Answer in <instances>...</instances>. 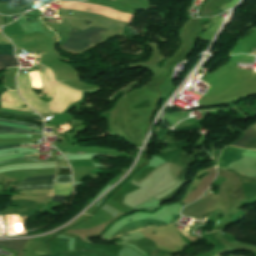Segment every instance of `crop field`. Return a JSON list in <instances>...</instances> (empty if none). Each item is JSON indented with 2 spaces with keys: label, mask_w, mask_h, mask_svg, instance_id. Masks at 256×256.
Masks as SVG:
<instances>
[{
  "label": "crop field",
  "mask_w": 256,
  "mask_h": 256,
  "mask_svg": "<svg viewBox=\"0 0 256 256\" xmlns=\"http://www.w3.org/2000/svg\"><path fill=\"white\" fill-rule=\"evenodd\" d=\"M108 29L91 27L83 32H77L72 29V33L66 44L62 48L68 51H82L91 44L97 43L101 40L102 32Z\"/></svg>",
  "instance_id": "8a807250"
},
{
  "label": "crop field",
  "mask_w": 256,
  "mask_h": 256,
  "mask_svg": "<svg viewBox=\"0 0 256 256\" xmlns=\"http://www.w3.org/2000/svg\"><path fill=\"white\" fill-rule=\"evenodd\" d=\"M59 174H71L70 168H61Z\"/></svg>",
  "instance_id": "d9b57169"
},
{
  "label": "crop field",
  "mask_w": 256,
  "mask_h": 256,
  "mask_svg": "<svg viewBox=\"0 0 256 256\" xmlns=\"http://www.w3.org/2000/svg\"><path fill=\"white\" fill-rule=\"evenodd\" d=\"M254 52H255V54H256V49L254 50ZM254 52H253L252 54H254ZM255 54H254V55H255Z\"/></svg>",
  "instance_id": "4a817a6b"
},
{
  "label": "crop field",
  "mask_w": 256,
  "mask_h": 256,
  "mask_svg": "<svg viewBox=\"0 0 256 256\" xmlns=\"http://www.w3.org/2000/svg\"><path fill=\"white\" fill-rule=\"evenodd\" d=\"M0 114H7V115H11V116H20V117H25V118L35 119V120H37V119L41 120V118H40V117H35V116L12 115V114L7 113V112H0ZM41 121H42V120H41Z\"/></svg>",
  "instance_id": "d1516ede"
},
{
  "label": "crop field",
  "mask_w": 256,
  "mask_h": 256,
  "mask_svg": "<svg viewBox=\"0 0 256 256\" xmlns=\"http://www.w3.org/2000/svg\"><path fill=\"white\" fill-rule=\"evenodd\" d=\"M53 177L54 176H39V177L27 178L24 181L39 180V179H53Z\"/></svg>",
  "instance_id": "22f410ed"
},
{
  "label": "crop field",
  "mask_w": 256,
  "mask_h": 256,
  "mask_svg": "<svg viewBox=\"0 0 256 256\" xmlns=\"http://www.w3.org/2000/svg\"><path fill=\"white\" fill-rule=\"evenodd\" d=\"M34 157H36V156L22 157V158H17V159H12V160L3 161V162H0V163L12 162V161H17V160H25V159H33Z\"/></svg>",
  "instance_id": "5142ce71"
},
{
  "label": "crop field",
  "mask_w": 256,
  "mask_h": 256,
  "mask_svg": "<svg viewBox=\"0 0 256 256\" xmlns=\"http://www.w3.org/2000/svg\"><path fill=\"white\" fill-rule=\"evenodd\" d=\"M0 55L14 56L12 44L0 45ZM9 56H0V71L7 67H14L19 65L14 57Z\"/></svg>",
  "instance_id": "34b2d1b8"
},
{
  "label": "crop field",
  "mask_w": 256,
  "mask_h": 256,
  "mask_svg": "<svg viewBox=\"0 0 256 256\" xmlns=\"http://www.w3.org/2000/svg\"><path fill=\"white\" fill-rule=\"evenodd\" d=\"M0 121L9 122V123H15V124H21V125H27V126H31V127H35V128L37 126L36 124L18 122V121H14V120L8 121V120L0 119ZM0 133H32V132L31 131H27V130H21V129L9 127V126L0 125ZM33 133H40V134H42V132H38V131H35Z\"/></svg>",
  "instance_id": "412701ff"
},
{
  "label": "crop field",
  "mask_w": 256,
  "mask_h": 256,
  "mask_svg": "<svg viewBox=\"0 0 256 256\" xmlns=\"http://www.w3.org/2000/svg\"><path fill=\"white\" fill-rule=\"evenodd\" d=\"M142 227H144L142 221H137V222L128 223V224L122 226V227H121L113 236H111L110 238L115 237V236H118V235H121V234L126 233V232H129V231H133V230H136V229H140V228H142Z\"/></svg>",
  "instance_id": "e52e79f7"
},
{
  "label": "crop field",
  "mask_w": 256,
  "mask_h": 256,
  "mask_svg": "<svg viewBox=\"0 0 256 256\" xmlns=\"http://www.w3.org/2000/svg\"><path fill=\"white\" fill-rule=\"evenodd\" d=\"M242 149L236 147L224 148L220 159L218 161V166L220 168H227L228 164L234 162L244 156L240 155Z\"/></svg>",
  "instance_id": "ac0d7876"
},
{
  "label": "crop field",
  "mask_w": 256,
  "mask_h": 256,
  "mask_svg": "<svg viewBox=\"0 0 256 256\" xmlns=\"http://www.w3.org/2000/svg\"><path fill=\"white\" fill-rule=\"evenodd\" d=\"M0 118H4V119L11 120V119H10V118H11L10 116L0 115ZM12 118H16V120H19V121L38 123V124H42V125H43V122H41V121H35V120H30V119H25V118H17V117H12Z\"/></svg>",
  "instance_id": "5a996713"
},
{
  "label": "crop field",
  "mask_w": 256,
  "mask_h": 256,
  "mask_svg": "<svg viewBox=\"0 0 256 256\" xmlns=\"http://www.w3.org/2000/svg\"><path fill=\"white\" fill-rule=\"evenodd\" d=\"M53 184H44V185H27L20 186L18 190H27V189H52Z\"/></svg>",
  "instance_id": "d8731c3e"
},
{
  "label": "crop field",
  "mask_w": 256,
  "mask_h": 256,
  "mask_svg": "<svg viewBox=\"0 0 256 256\" xmlns=\"http://www.w3.org/2000/svg\"><path fill=\"white\" fill-rule=\"evenodd\" d=\"M46 68V67H45ZM45 68H43V69H45ZM43 69H41V70H43ZM41 70H39V71H41ZM40 73V72H39Z\"/></svg>",
  "instance_id": "bc2a9ffb"
},
{
  "label": "crop field",
  "mask_w": 256,
  "mask_h": 256,
  "mask_svg": "<svg viewBox=\"0 0 256 256\" xmlns=\"http://www.w3.org/2000/svg\"><path fill=\"white\" fill-rule=\"evenodd\" d=\"M254 139H256V131L250 128L241 140L237 141L232 145L241 147ZM243 147L249 149H256V140Z\"/></svg>",
  "instance_id": "f4fd0767"
},
{
  "label": "crop field",
  "mask_w": 256,
  "mask_h": 256,
  "mask_svg": "<svg viewBox=\"0 0 256 256\" xmlns=\"http://www.w3.org/2000/svg\"><path fill=\"white\" fill-rule=\"evenodd\" d=\"M55 182L68 183V182H72V178H71V175L57 176Z\"/></svg>",
  "instance_id": "3316defc"
},
{
  "label": "crop field",
  "mask_w": 256,
  "mask_h": 256,
  "mask_svg": "<svg viewBox=\"0 0 256 256\" xmlns=\"http://www.w3.org/2000/svg\"><path fill=\"white\" fill-rule=\"evenodd\" d=\"M15 146H22L21 145H6V146H0V149H3V148H11V147H15Z\"/></svg>",
  "instance_id": "733c2abd"
},
{
  "label": "crop field",
  "mask_w": 256,
  "mask_h": 256,
  "mask_svg": "<svg viewBox=\"0 0 256 256\" xmlns=\"http://www.w3.org/2000/svg\"><path fill=\"white\" fill-rule=\"evenodd\" d=\"M65 197H66V196H53L52 201H56V202H61V203H63Z\"/></svg>",
  "instance_id": "cbeb9de0"
},
{
  "label": "crop field",
  "mask_w": 256,
  "mask_h": 256,
  "mask_svg": "<svg viewBox=\"0 0 256 256\" xmlns=\"http://www.w3.org/2000/svg\"><path fill=\"white\" fill-rule=\"evenodd\" d=\"M53 180H40V181H30V182H24L19 185H27V184H44V183H52Z\"/></svg>",
  "instance_id": "28ad6ade"
},
{
  "label": "crop field",
  "mask_w": 256,
  "mask_h": 256,
  "mask_svg": "<svg viewBox=\"0 0 256 256\" xmlns=\"http://www.w3.org/2000/svg\"><path fill=\"white\" fill-rule=\"evenodd\" d=\"M28 239H12V240H0V245L8 247L14 251H21L24 243Z\"/></svg>",
  "instance_id": "dd49c442"
}]
</instances>
